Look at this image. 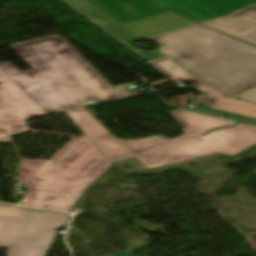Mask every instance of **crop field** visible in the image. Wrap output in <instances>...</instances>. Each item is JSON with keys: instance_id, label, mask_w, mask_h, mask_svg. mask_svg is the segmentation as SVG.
<instances>
[{"instance_id": "crop-field-17", "label": "crop field", "mask_w": 256, "mask_h": 256, "mask_svg": "<svg viewBox=\"0 0 256 256\" xmlns=\"http://www.w3.org/2000/svg\"><path fill=\"white\" fill-rule=\"evenodd\" d=\"M77 139V138H76ZM75 139V140H76ZM74 140V141H75ZM74 141H72L71 143H69L68 145H66L59 153H57L51 160H54L59 154H61L70 144H72Z\"/></svg>"}, {"instance_id": "crop-field-18", "label": "crop field", "mask_w": 256, "mask_h": 256, "mask_svg": "<svg viewBox=\"0 0 256 256\" xmlns=\"http://www.w3.org/2000/svg\"><path fill=\"white\" fill-rule=\"evenodd\" d=\"M114 256H136V255H132V254H128V253L119 252V253L115 254Z\"/></svg>"}, {"instance_id": "crop-field-15", "label": "crop field", "mask_w": 256, "mask_h": 256, "mask_svg": "<svg viewBox=\"0 0 256 256\" xmlns=\"http://www.w3.org/2000/svg\"><path fill=\"white\" fill-rule=\"evenodd\" d=\"M194 111L209 114V115H214V116H219V115L224 114V115L230 116L231 120H235V121H239V122L256 121V119H254V118H249V117H245V116L231 114V113H227V112H223V111H219V110H215V109H211V108L197 109V110H194Z\"/></svg>"}, {"instance_id": "crop-field-3", "label": "crop field", "mask_w": 256, "mask_h": 256, "mask_svg": "<svg viewBox=\"0 0 256 256\" xmlns=\"http://www.w3.org/2000/svg\"><path fill=\"white\" fill-rule=\"evenodd\" d=\"M145 39L223 95L256 81V48L199 24Z\"/></svg>"}, {"instance_id": "crop-field-12", "label": "crop field", "mask_w": 256, "mask_h": 256, "mask_svg": "<svg viewBox=\"0 0 256 256\" xmlns=\"http://www.w3.org/2000/svg\"><path fill=\"white\" fill-rule=\"evenodd\" d=\"M212 108L256 118V104L223 97Z\"/></svg>"}, {"instance_id": "crop-field-8", "label": "crop field", "mask_w": 256, "mask_h": 256, "mask_svg": "<svg viewBox=\"0 0 256 256\" xmlns=\"http://www.w3.org/2000/svg\"><path fill=\"white\" fill-rule=\"evenodd\" d=\"M107 35L124 45L144 62L163 57L159 52L146 53L135 48L130 43L140 39L111 18L100 12L85 0H60Z\"/></svg>"}, {"instance_id": "crop-field-2", "label": "crop field", "mask_w": 256, "mask_h": 256, "mask_svg": "<svg viewBox=\"0 0 256 256\" xmlns=\"http://www.w3.org/2000/svg\"><path fill=\"white\" fill-rule=\"evenodd\" d=\"M9 47L32 70L20 72L10 62L0 68L47 114L117 99L115 89L59 36Z\"/></svg>"}, {"instance_id": "crop-field-6", "label": "crop field", "mask_w": 256, "mask_h": 256, "mask_svg": "<svg viewBox=\"0 0 256 256\" xmlns=\"http://www.w3.org/2000/svg\"><path fill=\"white\" fill-rule=\"evenodd\" d=\"M141 38L195 24L153 0H86Z\"/></svg>"}, {"instance_id": "crop-field-7", "label": "crop field", "mask_w": 256, "mask_h": 256, "mask_svg": "<svg viewBox=\"0 0 256 256\" xmlns=\"http://www.w3.org/2000/svg\"><path fill=\"white\" fill-rule=\"evenodd\" d=\"M0 143L28 131L23 119L46 114L0 69Z\"/></svg>"}, {"instance_id": "crop-field-5", "label": "crop field", "mask_w": 256, "mask_h": 256, "mask_svg": "<svg viewBox=\"0 0 256 256\" xmlns=\"http://www.w3.org/2000/svg\"><path fill=\"white\" fill-rule=\"evenodd\" d=\"M67 214L0 205V246L9 256H45Z\"/></svg>"}, {"instance_id": "crop-field-16", "label": "crop field", "mask_w": 256, "mask_h": 256, "mask_svg": "<svg viewBox=\"0 0 256 256\" xmlns=\"http://www.w3.org/2000/svg\"><path fill=\"white\" fill-rule=\"evenodd\" d=\"M117 91H118V93H120V94H121L122 96H124V97L131 96L132 94L137 95V93H134V92H132V91H129V90L125 89L123 86L117 88Z\"/></svg>"}, {"instance_id": "crop-field-4", "label": "crop field", "mask_w": 256, "mask_h": 256, "mask_svg": "<svg viewBox=\"0 0 256 256\" xmlns=\"http://www.w3.org/2000/svg\"><path fill=\"white\" fill-rule=\"evenodd\" d=\"M112 165L85 136L54 161L23 160L17 179L27 192L20 204L69 212L81 192Z\"/></svg>"}, {"instance_id": "crop-field-13", "label": "crop field", "mask_w": 256, "mask_h": 256, "mask_svg": "<svg viewBox=\"0 0 256 256\" xmlns=\"http://www.w3.org/2000/svg\"><path fill=\"white\" fill-rule=\"evenodd\" d=\"M196 91L203 94L200 97H197L199 100H201L204 104H206L208 107L213 105L216 101H218L223 96L219 95L206 85L202 84L196 87H193Z\"/></svg>"}, {"instance_id": "crop-field-9", "label": "crop field", "mask_w": 256, "mask_h": 256, "mask_svg": "<svg viewBox=\"0 0 256 256\" xmlns=\"http://www.w3.org/2000/svg\"><path fill=\"white\" fill-rule=\"evenodd\" d=\"M168 10L197 22L230 14L256 0H156Z\"/></svg>"}, {"instance_id": "crop-field-10", "label": "crop field", "mask_w": 256, "mask_h": 256, "mask_svg": "<svg viewBox=\"0 0 256 256\" xmlns=\"http://www.w3.org/2000/svg\"><path fill=\"white\" fill-rule=\"evenodd\" d=\"M200 23L256 45V3L230 15Z\"/></svg>"}, {"instance_id": "crop-field-20", "label": "crop field", "mask_w": 256, "mask_h": 256, "mask_svg": "<svg viewBox=\"0 0 256 256\" xmlns=\"http://www.w3.org/2000/svg\"><path fill=\"white\" fill-rule=\"evenodd\" d=\"M246 123H250V124H255L256 125V123H253V122H246Z\"/></svg>"}, {"instance_id": "crop-field-19", "label": "crop field", "mask_w": 256, "mask_h": 256, "mask_svg": "<svg viewBox=\"0 0 256 256\" xmlns=\"http://www.w3.org/2000/svg\"><path fill=\"white\" fill-rule=\"evenodd\" d=\"M170 80L166 79V80H162V81H159V82H155V83H151V85H156V84H160V83H164V82H169Z\"/></svg>"}, {"instance_id": "crop-field-11", "label": "crop field", "mask_w": 256, "mask_h": 256, "mask_svg": "<svg viewBox=\"0 0 256 256\" xmlns=\"http://www.w3.org/2000/svg\"><path fill=\"white\" fill-rule=\"evenodd\" d=\"M149 65L157 69L159 72L177 83L190 82L193 85L202 83L188 72L180 68L178 65L163 57L157 60L148 62Z\"/></svg>"}, {"instance_id": "crop-field-1", "label": "crop field", "mask_w": 256, "mask_h": 256, "mask_svg": "<svg viewBox=\"0 0 256 256\" xmlns=\"http://www.w3.org/2000/svg\"><path fill=\"white\" fill-rule=\"evenodd\" d=\"M79 130L111 161L135 156L148 169L213 153L234 155L256 143V127L238 124L201 136L220 126L237 123L186 110L170 115L184 128L178 138L152 136L140 140H117L84 108L65 112Z\"/></svg>"}, {"instance_id": "crop-field-14", "label": "crop field", "mask_w": 256, "mask_h": 256, "mask_svg": "<svg viewBox=\"0 0 256 256\" xmlns=\"http://www.w3.org/2000/svg\"><path fill=\"white\" fill-rule=\"evenodd\" d=\"M227 96L256 102V83H253L247 87H244Z\"/></svg>"}]
</instances>
